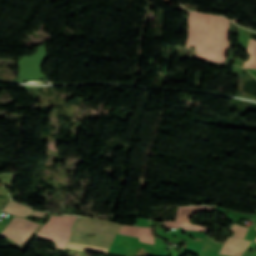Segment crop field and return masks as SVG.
I'll return each instance as SVG.
<instances>
[{
    "instance_id": "1",
    "label": "crop field",
    "mask_w": 256,
    "mask_h": 256,
    "mask_svg": "<svg viewBox=\"0 0 256 256\" xmlns=\"http://www.w3.org/2000/svg\"><path fill=\"white\" fill-rule=\"evenodd\" d=\"M229 20L189 11L186 48L196 46L199 60L224 63L228 48Z\"/></svg>"
},
{
    "instance_id": "2",
    "label": "crop field",
    "mask_w": 256,
    "mask_h": 256,
    "mask_svg": "<svg viewBox=\"0 0 256 256\" xmlns=\"http://www.w3.org/2000/svg\"><path fill=\"white\" fill-rule=\"evenodd\" d=\"M120 224L104 221V220H96V219H88L81 217L74 224L73 230L88 232L99 234L108 237H115V233L118 232L120 228ZM73 231L70 242L107 248L109 249L113 239L108 237H103L97 235L96 239L85 238V233Z\"/></svg>"
},
{
    "instance_id": "3",
    "label": "crop field",
    "mask_w": 256,
    "mask_h": 256,
    "mask_svg": "<svg viewBox=\"0 0 256 256\" xmlns=\"http://www.w3.org/2000/svg\"><path fill=\"white\" fill-rule=\"evenodd\" d=\"M77 218L76 216L57 217L51 215L50 220L37 235L55 242V248L64 250L70 237L71 227Z\"/></svg>"
},
{
    "instance_id": "4",
    "label": "crop field",
    "mask_w": 256,
    "mask_h": 256,
    "mask_svg": "<svg viewBox=\"0 0 256 256\" xmlns=\"http://www.w3.org/2000/svg\"><path fill=\"white\" fill-rule=\"evenodd\" d=\"M38 225V223L26 219L13 217L6 228L3 230L2 234L11 239L14 245L21 247Z\"/></svg>"
},
{
    "instance_id": "5",
    "label": "crop field",
    "mask_w": 256,
    "mask_h": 256,
    "mask_svg": "<svg viewBox=\"0 0 256 256\" xmlns=\"http://www.w3.org/2000/svg\"><path fill=\"white\" fill-rule=\"evenodd\" d=\"M212 209L213 207H207V206L179 207L176 220L164 222L165 227H172V228L184 227V229L207 232L209 228L193 225L190 223V219L197 212H212Z\"/></svg>"
},
{
    "instance_id": "6",
    "label": "crop field",
    "mask_w": 256,
    "mask_h": 256,
    "mask_svg": "<svg viewBox=\"0 0 256 256\" xmlns=\"http://www.w3.org/2000/svg\"><path fill=\"white\" fill-rule=\"evenodd\" d=\"M249 244L250 241L229 237L219 253L230 256H241Z\"/></svg>"
},
{
    "instance_id": "7",
    "label": "crop field",
    "mask_w": 256,
    "mask_h": 256,
    "mask_svg": "<svg viewBox=\"0 0 256 256\" xmlns=\"http://www.w3.org/2000/svg\"><path fill=\"white\" fill-rule=\"evenodd\" d=\"M120 234L131 235L139 237L140 241L154 244V235L152 228L146 227H131L122 225Z\"/></svg>"
},
{
    "instance_id": "8",
    "label": "crop field",
    "mask_w": 256,
    "mask_h": 256,
    "mask_svg": "<svg viewBox=\"0 0 256 256\" xmlns=\"http://www.w3.org/2000/svg\"><path fill=\"white\" fill-rule=\"evenodd\" d=\"M3 210L16 217H26L33 211L32 209L13 201H10Z\"/></svg>"
},
{
    "instance_id": "9",
    "label": "crop field",
    "mask_w": 256,
    "mask_h": 256,
    "mask_svg": "<svg viewBox=\"0 0 256 256\" xmlns=\"http://www.w3.org/2000/svg\"><path fill=\"white\" fill-rule=\"evenodd\" d=\"M247 51L251 55V57L249 61H246L244 63L243 66L256 68V41L255 40L250 38Z\"/></svg>"
},
{
    "instance_id": "10",
    "label": "crop field",
    "mask_w": 256,
    "mask_h": 256,
    "mask_svg": "<svg viewBox=\"0 0 256 256\" xmlns=\"http://www.w3.org/2000/svg\"><path fill=\"white\" fill-rule=\"evenodd\" d=\"M231 230L235 232L234 235H233L234 237H238V238L243 239L248 229L234 224L232 226Z\"/></svg>"
},
{
    "instance_id": "11",
    "label": "crop field",
    "mask_w": 256,
    "mask_h": 256,
    "mask_svg": "<svg viewBox=\"0 0 256 256\" xmlns=\"http://www.w3.org/2000/svg\"><path fill=\"white\" fill-rule=\"evenodd\" d=\"M46 213L44 212H38V211H34L31 215L32 216H36V217H40L43 218L45 216Z\"/></svg>"
},
{
    "instance_id": "12",
    "label": "crop field",
    "mask_w": 256,
    "mask_h": 256,
    "mask_svg": "<svg viewBox=\"0 0 256 256\" xmlns=\"http://www.w3.org/2000/svg\"><path fill=\"white\" fill-rule=\"evenodd\" d=\"M256 229V228H255Z\"/></svg>"
},
{
    "instance_id": "13",
    "label": "crop field",
    "mask_w": 256,
    "mask_h": 256,
    "mask_svg": "<svg viewBox=\"0 0 256 256\" xmlns=\"http://www.w3.org/2000/svg\"><path fill=\"white\" fill-rule=\"evenodd\" d=\"M256 241V240H255Z\"/></svg>"
}]
</instances>
